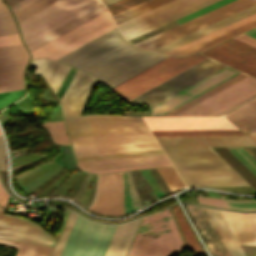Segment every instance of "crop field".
Listing matches in <instances>:
<instances>
[{
  "label": "crop field",
  "instance_id": "crop-field-39",
  "mask_svg": "<svg viewBox=\"0 0 256 256\" xmlns=\"http://www.w3.org/2000/svg\"><path fill=\"white\" fill-rule=\"evenodd\" d=\"M163 153L161 149L76 158L78 162Z\"/></svg>",
  "mask_w": 256,
  "mask_h": 256
},
{
  "label": "crop field",
  "instance_id": "crop-field-35",
  "mask_svg": "<svg viewBox=\"0 0 256 256\" xmlns=\"http://www.w3.org/2000/svg\"><path fill=\"white\" fill-rule=\"evenodd\" d=\"M215 1H218V0H206V1L202 2V3H200V4H197V5L193 6V7H190L188 9H186L184 11H181V12L175 14V15H172V16L166 18V19H163V20H161L159 22H156V23H154V24H152L150 26H147V27H145V28H143L141 30H138V31H136L134 33H131V34L125 36V37L128 40H130V39H132V38H134L136 36H139V35H141V34H143L145 32H148V31L154 29V28L162 26V25H164V24H166V23H168V22H170V21H172V20H174L176 18H179V17H181V16H183L185 14H188V13H190L192 11H195V10H197L199 8H202V7H204V6L208 5V4H211V3L215 2Z\"/></svg>",
  "mask_w": 256,
  "mask_h": 256
},
{
  "label": "crop field",
  "instance_id": "crop-field-56",
  "mask_svg": "<svg viewBox=\"0 0 256 256\" xmlns=\"http://www.w3.org/2000/svg\"><path fill=\"white\" fill-rule=\"evenodd\" d=\"M243 215L256 236V214L255 213H243Z\"/></svg>",
  "mask_w": 256,
  "mask_h": 256
},
{
  "label": "crop field",
  "instance_id": "crop-field-28",
  "mask_svg": "<svg viewBox=\"0 0 256 256\" xmlns=\"http://www.w3.org/2000/svg\"><path fill=\"white\" fill-rule=\"evenodd\" d=\"M31 64L38 65L36 73L43 75L55 93L69 69V66L49 59L34 60Z\"/></svg>",
  "mask_w": 256,
  "mask_h": 256
},
{
  "label": "crop field",
  "instance_id": "crop-field-9",
  "mask_svg": "<svg viewBox=\"0 0 256 256\" xmlns=\"http://www.w3.org/2000/svg\"><path fill=\"white\" fill-rule=\"evenodd\" d=\"M70 138L147 129L140 117L90 115L64 118Z\"/></svg>",
  "mask_w": 256,
  "mask_h": 256
},
{
  "label": "crop field",
  "instance_id": "crop-field-65",
  "mask_svg": "<svg viewBox=\"0 0 256 256\" xmlns=\"http://www.w3.org/2000/svg\"><path fill=\"white\" fill-rule=\"evenodd\" d=\"M7 3H8V5L10 6V5H12V4H14V3H16V2H18V1H20V0H5Z\"/></svg>",
  "mask_w": 256,
  "mask_h": 256
},
{
  "label": "crop field",
  "instance_id": "crop-field-46",
  "mask_svg": "<svg viewBox=\"0 0 256 256\" xmlns=\"http://www.w3.org/2000/svg\"><path fill=\"white\" fill-rule=\"evenodd\" d=\"M77 214L70 212L52 256H59Z\"/></svg>",
  "mask_w": 256,
  "mask_h": 256
},
{
  "label": "crop field",
  "instance_id": "crop-field-13",
  "mask_svg": "<svg viewBox=\"0 0 256 256\" xmlns=\"http://www.w3.org/2000/svg\"><path fill=\"white\" fill-rule=\"evenodd\" d=\"M142 118L150 130L238 129L223 116Z\"/></svg>",
  "mask_w": 256,
  "mask_h": 256
},
{
  "label": "crop field",
  "instance_id": "crop-field-64",
  "mask_svg": "<svg viewBox=\"0 0 256 256\" xmlns=\"http://www.w3.org/2000/svg\"><path fill=\"white\" fill-rule=\"evenodd\" d=\"M102 1L104 2V4H105L106 6H108V5H110V4L114 3V2H117V1H119V0H102Z\"/></svg>",
  "mask_w": 256,
  "mask_h": 256
},
{
  "label": "crop field",
  "instance_id": "crop-field-55",
  "mask_svg": "<svg viewBox=\"0 0 256 256\" xmlns=\"http://www.w3.org/2000/svg\"><path fill=\"white\" fill-rule=\"evenodd\" d=\"M199 201H200V203L207 204V205H214V206H218V207L228 208L222 199L199 198Z\"/></svg>",
  "mask_w": 256,
  "mask_h": 256
},
{
  "label": "crop field",
  "instance_id": "crop-field-5",
  "mask_svg": "<svg viewBox=\"0 0 256 256\" xmlns=\"http://www.w3.org/2000/svg\"><path fill=\"white\" fill-rule=\"evenodd\" d=\"M101 4L98 0H59L19 22L27 43Z\"/></svg>",
  "mask_w": 256,
  "mask_h": 256
},
{
  "label": "crop field",
  "instance_id": "crop-field-61",
  "mask_svg": "<svg viewBox=\"0 0 256 256\" xmlns=\"http://www.w3.org/2000/svg\"><path fill=\"white\" fill-rule=\"evenodd\" d=\"M255 96H256V94L252 95L251 97H249V98H247V99H245V100H243V101H241V102L235 104L234 106H232V107H230V108H228V109H226V110H224V111H222V112H220V113H218V114H223V113H225V112H227V111H229V110H231V109L237 107L238 105H240V104H242V103L248 101L249 99H251V98H253V97H255Z\"/></svg>",
  "mask_w": 256,
  "mask_h": 256
},
{
  "label": "crop field",
  "instance_id": "crop-field-34",
  "mask_svg": "<svg viewBox=\"0 0 256 256\" xmlns=\"http://www.w3.org/2000/svg\"><path fill=\"white\" fill-rule=\"evenodd\" d=\"M154 136L245 135L240 130L152 131Z\"/></svg>",
  "mask_w": 256,
  "mask_h": 256
},
{
  "label": "crop field",
  "instance_id": "crop-field-3",
  "mask_svg": "<svg viewBox=\"0 0 256 256\" xmlns=\"http://www.w3.org/2000/svg\"><path fill=\"white\" fill-rule=\"evenodd\" d=\"M170 213L167 209L145 216L127 256L176 255L183 248V242Z\"/></svg>",
  "mask_w": 256,
  "mask_h": 256
},
{
  "label": "crop field",
  "instance_id": "crop-field-54",
  "mask_svg": "<svg viewBox=\"0 0 256 256\" xmlns=\"http://www.w3.org/2000/svg\"><path fill=\"white\" fill-rule=\"evenodd\" d=\"M19 43H21V41L18 34L0 37V46L15 45Z\"/></svg>",
  "mask_w": 256,
  "mask_h": 256
},
{
  "label": "crop field",
  "instance_id": "crop-field-22",
  "mask_svg": "<svg viewBox=\"0 0 256 256\" xmlns=\"http://www.w3.org/2000/svg\"><path fill=\"white\" fill-rule=\"evenodd\" d=\"M186 209L192 222L196 225L197 229L205 239L209 253L230 256L203 207L187 205Z\"/></svg>",
  "mask_w": 256,
  "mask_h": 256
},
{
  "label": "crop field",
  "instance_id": "crop-field-10",
  "mask_svg": "<svg viewBox=\"0 0 256 256\" xmlns=\"http://www.w3.org/2000/svg\"><path fill=\"white\" fill-rule=\"evenodd\" d=\"M224 66L207 58L128 102L152 106Z\"/></svg>",
  "mask_w": 256,
  "mask_h": 256
},
{
  "label": "crop field",
  "instance_id": "crop-field-8",
  "mask_svg": "<svg viewBox=\"0 0 256 256\" xmlns=\"http://www.w3.org/2000/svg\"><path fill=\"white\" fill-rule=\"evenodd\" d=\"M205 58L207 57L200 54L184 57L172 56L115 87L112 92L127 101Z\"/></svg>",
  "mask_w": 256,
  "mask_h": 256
},
{
  "label": "crop field",
  "instance_id": "crop-field-4",
  "mask_svg": "<svg viewBox=\"0 0 256 256\" xmlns=\"http://www.w3.org/2000/svg\"><path fill=\"white\" fill-rule=\"evenodd\" d=\"M70 140L76 157L160 148L149 130Z\"/></svg>",
  "mask_w": 256,
  "mask_h": 256
},
{
  "label": "crop field",
  "instance_id": "crop-field-31",
  "mask_svg": "<svg viewBox=\"0 0 256 256\" xmlns=\"http://www.w3.org/2000/svg\"><path fill=\"white\" fill-rule=\"evenodd\" d=\"M167 57H169V55L158 54L106 83L111 89Z\"/></svg>",
  "mask_w": 256,
  "mask_h": 256
},
{
  "label": "crop field",
  "instance_id": "crop-field-14",
  "mask_svg": "<svg viewBox=\"0 0 256 256\" xmlns=\"http://www.w3.org/2000/svg\"><path fill=\"white\" fill-rule=\"evenodd\" d=\"M89 209L104 214L124 213L123 172L99 175L97 199Z\"/></svg>",
  "mask_w": 256,
  "mask_h": 256
},
{
  "label": "crop field",
  "instance_id": "crop-field-24",
  "mask_svg": "<svg viewBox=\"0 0 256 256\" xmlns=\"http://www.w3.org/2000/svg\"><path fill=\"white\" fill-rule=\"evenodd\" d=\"M210 49L256 69V48L234 38L220 43Z\"/></svg>",
  "mask_w": 256,
  "mask_h": 256
},
{
  "label": "crop field",
  "instance_id": "crop-field-42",
  "mask_svg": "<svg viewBox=\"0 0 256 256\" xmlns=\"http://www.w3.org/2000/svg\"><path fill=\"white\" fill-rule=\"evenodd\" d=\"M56 1L57 0H38L14 14L19 22Z\"/></svg>",
  "mask_w": 256,
  "mask_h": 256
},
{
  "label": "crop field",
  "instance_id": "crop-field-36",
  "mask_svg": "<svg viewBox=\"0 0 256 256\" xmlns=\"http://www.w3.org/2000/svg\"><path fill=\"white\" fill-rule=\"evenodd\" d=\"M169 1H172V0H150V1L145 2V3H143L139 6H136L132 9H129V10L123 12V13L118 14L117 17H118V19L121 23V22L126 21V20H128L132 17H135L139 14H142L146 11H149V10L155 8V7H158L162 4H165ZM117 17L114 16V19L117 22V24H119V21H118Z\"/></svg>",
  "mask_w": 256,
  "mask_h": 256
},
{
  "label": "crop field",
  "instance_id": "crop-field-66",
  "mask_svg": "<svg viewBox=\"0 0 256 256\" xmlns=\"http://www.w3.org/2000/svg\"><path fill=\"white\" fill-rule=\"evenodd\" d=\"M7 13H10V12H6V13H0V14H7Z\"/></svg>",
  "mask_w": 256,
  "mask_h": 256
},
{
  "label": "crop field",
  "instance_id": "crop-field-49",
  "mask_svg": "<svg viewBox=\"0 0 256 256\" xmlns=\"http://www.w3.org/2000/svg\"><path fill=\"white\" fill-rule=\"evenodd\" d=\"M147 0H121L108 6L112 16Z\"/></svg>",
  "mask_w": 256,
  "mask_h": 256
},
{
  "label": "crop field",
  "instance_id": "crop-field-48",
  "mask_svg": "<svg viewBox=\"0 0 256 256\" xmlns=\"http://www.w3.org/2000/svg\"><path fill=\"white\" fill-rule=\"evenodd\" d=\"M18 33L11 14L0 15V36Z\"/></svg>",
  "mask_w": 256,
  "mask_h": 256
},
{
  "label": "crop field",
  "instance_id": "crop-field-37",
  "mask_svg": "<svg viewBox=\"0 0 256 256\" xmlns=\"http://www.w3.org/2000/svg\"><path fill=\"white\" fill-rule=\"evenodd\" d=\"M41 128L47 130L53 141L58 144H70L68 136L66 134L64 122H47L44 123Z\"/></svg>",
  "mask_w": 256,
  "mask_h": 256
},
{
  "label": "crop field",
  "instance_id": "crop-field-25",
  "mask_svg": "<svg viewBox=\"0 0 256 256\" xmlns=\"http://www.w3.org/2000/svg\"><path fill=\"white\" fill-rule=\"evenodd\" d=\"M225 116L256 142V98Z\"/></svg>",
  "mask_w": 256,
  "mask_h": 256
},
{
  "label": "crop field",
  "instance_id": "crop-field-57",
  "mask_svg": "<svg viewBox=\"0 0 256 256\" xmlns=\"http://www.w3.org/2000/svg\"><path fill=\"white\" fill-rule=\"evenodd\" d=\"M6 167H7V164H6L5 151H4L2 137L0 135V169L5 170Z\"/></svg>",
  "mask_w": 256,
  "mask_h": 256
},
{
  "label": "crop field",
  "instance_id": "crop-field-23",
  "mask_svg": "<svg viewBox=\"0 0 256 256\" xmlns=\"http://www.w3.org/2000/svg\"><path fill=\"white\" fill-rule=\"evenodd\" d=\"M254 12H256V5L251 6V7L247 8V9H244V10H242V11H240L238 13H235V14H233L231 16H228V17H226V18H224L222 20H219V21H217L215 23H212V24H210V25H208L206 27H203V28H201L199 30H196V31H194V32H192L190 34H187V35L183 36V37H180V38H178V39H176L174 41H171V42H169L167 44H164V45H162V46H160L158 48L153 49L152 51H156V52H160V53H165V52H167V51H169V50H171V49H173V48H175L177 46H180V45H182V44H184L186 42H189V41H191L193 39H196V38H198V37H200L202 35H205V34L211 32V31L216 30V29H218L220 27H223V26H225L227 24H230V23H232V22H234L236 20H239V19H241V18H243L245 16H248V15L254 13Z\"/></svg>",
  "mask_w": 256,
  "mask_h": 256
},
{
  "label": "crop field",
  "instance_id": "crop-field-53",
  "mask_svg": "<svg viewBox=\"0 0 256 256\" xmlns=\"http://www.w3.org/2000/svg\"><path fill=\"white\" fill-rule=\"evenodd\" d=\"M24 89L0 93V107L22 95Z\"/></svg>",
  "mask_w": 256,
  "mask_h": 256
},
{
  "label": "crop field",
  "instance_id": "crop-field-44",
  "mask_svg": "<svg viewBox=\"0 0 256 256\" xmlns=\"http://www.w3.org/2000/svg\"><path fill=\"white\" fill-rule=\"evenodd\" d=\"M202 53L256 77V70L251 69L243 64H240L232 59H229L221 54H218L210 49L204 50V51H202Z\"/></svg>",
  "mask_w": 256,
  "mask_h": 256
},
{
  "label": "crop field",
  "instance_id": "crop-field-18",
  "mask_svg": "<svg viewBox=\"0 0 256 256\" xmlns=\"http://www.w3.org/2000/svg\"><path fill=\"white\" fill-rule=\"evenodd\" d=\"M166 156V155H165ZM164 154L78 163L88 172L103 173L170 165Z\"/></svg>",
  "mask_w": 256,
  "mask_h": 256
},
{
  "label": "crop field",
  "instance_id": "crop-field-2",
  "mask_svg": "<svg viewBox=\"0 0 256 256\" xmlns=\"http://www.w3.org/2000/svg\"><path fill=\"white\" fill-rule=\"evenodd\" d=\"M176 169H231L209 146L255 145L247 136L156 137Z\"/></svg>",
  "mask_w": 256,
  "mask_h": 256
},
{
  "label": "crop field",
  "instance_id": "crop-field-51",
  "mask_svg": "<svg viewBox=\"0 0 256 256\" xmlns=\"http://www.w3.org/2000/svg\"><path fill=\"white\" fill-rule=\"evenodd\" d=\"M229 208H236L240 210H256V200L237 201L223 199Z\"/></svg>",
  "mask_w": 256,
  "mask_h": 256
},
{
  "label": "crop field",
  "instance_id": "crop-field-47",
  "mask_svg": "<svg viewBox=\"0 0 256 256\" xmlns=\"http://www.w3.org/2000/svg\"><path fill=\"white\" fill-rule=\"evenodd\" d=\"M253 4H256V1H254V2H252V3H249V4H247V5L243 6V7H240V8H238V9H236V10H233V11L227 13V14H224V15H222V16H220V17H217V18H215V19H213V20H211V21H208V22H206V23H204V24H201V25H199V26H197V27H194V28H192V29H190V30H188V31H185V32H183V33H181V34H178V35H176V36H174V37H172V38H169V39H167V40H165V41H162V42H160V43H158V44H156V45H153V46H151V47H149V48H146V49L151 50V49H153V48H155V47H157V46H160V45H162V44H164V43H167V42H169V41H171V40H173V39H176V38H178V37H180V36H183V35H185V34H187V33H189V32H192V31H194V30H196V29H199V28H201V27H203V26H205V25H208V24H210V23H212V22H215V21H217V20H219V19H221V18H224V17H226V16H228V15H231V14L237 12V11H240V10H242V9H244V8H247V7H249V6L253 5Z\"/></svg>",
  "mask_w": 256,
  "mask_h": 256
},
{
  "label": "crop field",
  "instance_id": "crop-field-45",
  "mask_svg": "<svg viewBox=\"0 0 256 256\" xmlns=\"http://www.w3.org/2000/svg\"><path fill=\"white\" fill-rule=\"evenodd\" d=\"M227 148L256 175V161L242 147Z\"/></svg>",
  "mask_w": 256,
  "mask_h": 256
},
{
  "label": "crop field",
  "instance_id": "crop-field-59",
  "mask_svg": "<svg viewBox=\"0 0 256 256\" xmlns=\"http://www.w3.org/2000/svg\"><path fill=\"white\" fill-rule=\"evenodd\" d=\"M234 38H236V39H238V40H240L242 42H245V43H247V44H249L251 46L256 47V39L251 38V37H249V36H247L245 34L239 35V36L234 37Z\"/></svg>",
  "mask_w": 256,
  "mask_h": 256
},
{
  "label": "crop field",
  "instance_id": "crop-field-6",
  "mask_svg": "<svg viewBox=\"0 0 256 256\" xmlns=\"http://www.w3.org/2000/svg\"><path fill=\"white\" fill-rule=\"evenodd\" d=\"M116 226L78 215L60 256H104Z\"/></svg>",
  "mask_w": 256,
  "mask_h": 256
},
{
  "label": "crop field",
  "instance_id": "crop-field-43",
  "mask_svg": "<svg viewBox=\"0 0 256 256\" xmlns=\"http://www.w3.org/2000/svg\"><path fill=\"white\" fill-rule=\"evenodd\" d=\"M24 88L23 74L0 77V92Z\"/></svg>",
  "mask_w": 256,
  "mask_h": 256
},
{
  "label": "crop field",
  "instance_id": "crop-field-40",
  "mask_svg": "<svg viewBox=\"0 0 256 256\" xmlns=\"http://www.w3.org/2000/svg\"><path fill=\"white\" fill-rule=\"evenodd\" d=\"M245 75H246V74L241 73V74H239V75H237V76L231 78L230 80H228V81H226V82L220 84L219 86H217V87H215V88L209 90L208 92H206V93H204V94H202V95L196 97L195 99H193V100H191V101L185 103L184 105H182V106H180V107L174 109L173 111H171V112H169V113H167V114H165V115H174V114H176V113L182 111L183 109H185V108L191 106L192 104H194V103L200 101L201 99H203V98L209 96L210 94H212V93H214V92L220 90L221 88H223V87L229 85L230 83H232V82L238 80L239 78H241V77H243V76H245Z\"/></svg>",
  "mask_w": 256,
  "mask_h": 256
},
{
  "label": "crop field",
  "instance_id": "crop-field-58",
  "mask_svg": "<svg viewBox=\"0 0 256 256\" xmlns=\"http://www.w3.org/2000/svg\"><path fill=\"white\" fill-rule=\"evenodd\" d=\"M34 1H36V0H21L20 2L14 4V5L10 6V7H11L13 12H16V11L22 9L23 7L31 4Z\"/></svg>",
  "mask_w": 256,
  "mask_h": 256
},
{
  "label": "crop field",
  "instance_id": "crop-field-20",
  "mask_svg": "<svg viewBox=\"0 0 256 256\" xmlns=\"http://www.w3.org/2000/svg\"><path fill=\"white\" fill-rule=\"evenodd\" d=\"M202 1L204 0H174L129 21L119 24L118 26L123 36H125L155 21L161 20Z\"/></svg>",
  "mask_w": 256,
  "mask_h": 256
},
{
  "label": "crop field",
  "instance_id": "crop-field-52",
  "mask_svg": "<svg viewBox=\"0 0 256 256\" xmlns=\"http://www.w3.org/2000/svg\"><path fill=\"white\" fill-rule=\"evenodd\" d=\"M229 1H232V0H220V1L215 2V3H213V4L209 5V6L204 7L202 9H199V10L193 12V13H190V14H188L186 16H183V17L177 19V21L180 24V23H182V22H184L186 20H189V19H191V18H193L195 16H198V15L204 13V12H207V11H209L211 9H214V8H216V7L220 6V5H223V4H225V3L229 2Z\"/></svg>",
  "mask_w": 256,
  "mask_h": 256
},
{
  "label": "crop field",
  "instance_id": "crop-field-33",
  "mask_svg": "<svg viewBox=\"0 0 256 256\" xmlns=\"http://www.w3.org/2000/svg\"><path fill=\"white\" fill-rule=\"evenodd\" d=\"M0 244L19 248L21 243L0 239ZM52 248L23 243L17 256H50Z\"/></svg>",
  "mask_w": 256,
  "mask_h": 256
},
{
  "label": "crop field",
  "instance_id": "crop-field-29",
  "mask_svg": "<svg viewBox=\"0 0 256 256\" xmlns=\"http://www.w3.org/2000/svg\"><path fill=\"white\" fill-rule=\"evenodd\" d=\"M238 243L255 244L256 238L242 213L221 210Z\"/></svg>",
  "mask_w": 256,
  "mask_h": 256
},
{
  "label": "crop field",
  "instance_id": "crop-field-50",
  "mask_svg": "<svg viewBox=\"0 0 256 256\" xmlns=\"http://www.w3.org/2000/svg\"><path fill=\"white\" fill-rule=\"evenodd\" d=\"M127 223L128 222L123 223V224L117 226V228L115 230V233H114V235L112 237V240H111V242H110V244L108 246V249H107V251L105 253V256H113L114 251H115V249H116V247H117V245L119 243V240H120V238H121V236L123 234V231H124Z\"/></svg>",
  "mask_w": 256,
  "mask_h": 256
},
{
  "label": "crop field",
  "instance_id": "crop-field-12",
  "mask_svg": "<svg viewBox=\"0 0 256 256\" xmlns=\"http://www.w3.org/2000/svg\"><path fill=\"white\" fill-rule=\"evenodd\" d=\"M239 73L240 72L226 66L150 107V112L152 115H163Z\"/></svg>",
  "mask_w": 256,
  "mask_h": 256
},
{
  "label": "crop field",
  "instance_id": "crop-field-16",
  "mask_svg": "<svg viewBox=\"0 0 256 256\" xmlns=\"http://www.w3.org/2000/svg\"><path fill=\"white\" fill-rule=\"evenodd\" d=\"M0 237L54 246L56 240L34 223L3 214L0 206Z\"/></svg>",
  "mask_w": 256,
  "mask_h": 256
},
{
  "label": "crop field",
  "instance_id": "crop-field-7",
  "mask_svg": "<svg viewBox=\"0 0 256 256\" xmlns=\"http://www.w3.org/2000/svg\"><path fill=\"white\" fill-rule=\"evenodd\" d=\"M116 27L108 10L69 32L31 51L33 59H57L106 31Z\"/></svg>",
  "mask_w": 256,
  "mask_h": 256
},
{
  "label": "crop field",
  "instance_id": "crop-field-38",
  "mask_svg": "<svg viewBox=\"0 0 256 256\" xmlns=\"http://www.w3.org/2000/svg\"><path fill=\"white\" fill-rule=\"evenodd\" d=\"M140 220L138 218L128 223L114 256H125Z\"/></svg>",
  "mask_w": 256,
  "mask_h": 256
},
{
  "label": "crop field",
  "instance_id": "crop-field-15",
  "mask_svg": "<svg viewBox=\"0 0 256 256\" xmlns=\"http://www.w3.org/2000/svg\"><path fill=\"white\" fill-rule=\"evenodd\" d=\"M100 79L77 70L61 99L64 117L80 115Z\"/></svg>",
  "mask_w": 256,
  "mask_h": 256
},
{
  "label": "crop field",
  "instance_id": "crop-field-27",
  "mask_svg": "<svg viewBox=\"0 0 256 256\" xmlns=\"http://www.w3.org/2000/svg\"><path fill=\"white\" fill-rule=\"evenodd\" d=\"M204 209L208 214L209 218L211 219L224 244L226 245L231 256H245L234 235L232 234L230 228L228 227L225 219L223 218L220 210L205 207Z\"/></svg>",
  "mask_w": 256,
  "mask_h": 256
},
{
  "label": "crop field",
  "instance_id": "crop-field-41",
  "mask_svg": "<svg viewBox=\"0 0 256 256\" xmlns=\"http://www.w3.org/2000/svg\"><path fill=\"white\" fill-rule=\"evenodd\" d=\"M158 171L164 178L165 182L167 183L171 191L180 189L185 186L180 177L178 176V174L176 173V171L174 170V168H160L158 169Z\"/></svg>",
  "mask_w": 256,
  "mask_h": 256
},
{
  "label": "crop field",
  "instance_id": "crop-field-17",
  "mask_svg": "<svg viewBox=\"0 0 256 256\" xmlns=\"http://www.w3.org/2000/svg\"><path fill=\"white\" fill-rule=\"evenodd\" d=\"M255 26L256 13L246 18H243L237 22H234L228 26H225L219 30H216L210 34H207L201 38H198L192 42H189L183 46H180L174 50H171L167 53L174 55H187L190 53L198 52L216 43L233 37L239 33L249 30Z\"/></svg>",
  "mask_w": 256,
  "mask_h": 256
},
{
  "label": "crop field",
  "instance_id": "crop-field-32",
  "mask_svg": "<svg viewBox=\"0 0 256 256\" xmlns=\"http://www.w3.org/2000/svg\"><path fill=\"white\" fill-rule=\"evenodd\" d=\"M173 212H174L176 221L179 225V228L182 232V235H183L187 245L194 250L204 253L202 247L199 245L194 233L192 232L191 228L189 227L179 206H175L173 208Z\"/></svg>",
  "mask_w": 256,
  "mask_h": 256
},
{
  "label": "crop field",
  "instance_id": "crop-field-19",
  "mask_svg": "<svg viewBox=\"0 0 256 256\" xmlns=\"http://www.w3.org/2000/svg\"><path fill=\"white\" fill-rule=\"evenodd\" d=\"M187 187L248 185L233 170H178Z\"/></svg>",
  "mask_w": 256,
  "mask_h": 256
},
{
  "label": "crop field",
  "instance_id": "crop-field-62",
  "mask_svg": "<svg viewBox=\"0 0 256 256\" xmlns=\"http://www.w3.org/2000/svg\"><path fill=\"white\" fill-rule=\"evenodd\" d=\"M9 11L6 5L0 0V12H6Z\"/></svg>",
  "mask_w": 256,
  "mask_h": 256
},
{
  "label": "crop field",
  "instance_id": "crop-field-21",
  "mask_svg": "<svg viewBox=\"0 0 256 256\" xmlns=\"http://www.w3.org/2000/svg\"><path fill=\"white\" fill-rule=\"evenodd\" d=\"M252 1H254V0H234V1L230 2V3H228V4H225V5H223V6L219 7V8H216V9L210 11V12H207V13L201 15V16H198V17H196V18H194V19H192L190 21H187V22L181 24V25H177V26H175L173 28H170V29H168V30H166L164 32H161V33H159V34H157L155 36H152V37H150L148 39H145V40H143V41H141L139 43L144 45V46H146V47H148V46L153 45V44H155V43H157L159 41H162V40H164L166 38H169V37H171L173 35H176V34H178L180 32H183V31H185V30H187L189 28H192V27H194L196 25H199V24H201L203 22H206V21H208L210 19H213V18H215V17H217L219 15H222V14H224L226 12H229V11H231L233 9H236V8H238L240 6H243V5H245V4L249 3V2H252ZM140 44L137 43L136 45L139 46V47L146 48V47H144V46H142Z\"/></svg>",
  "mask_w": 256,
  "mask_h": 256
},
{
  "label": "crop field",
  "instance_id": "crop-field-30",
  "mask_svg": "<svg viewBox=\"0 0 256 256\" xmlns=\"http://www.w3.org/2000/svg\"><path fill=\"white\" fill-rule=\"evenodd\" d=\"M107 10L102 4L91 9L90 11L80 15L79 17L69 21L68 23L60 26L59 28L49 32L48 34L38 38L37 40L27 44L29 50H33L39 46H41L42 44L52 40L53 38L63 34L64 32L74 28L75 26L85 22L86 20L96 16L97 14L103 12Z\"/></svg>",
  "mask_w": 256,
  "mask_h": 256
},
{
  "label": "crop field",
  "instance_id": "crop-field-60",
  "mask_svg": "<svg viewBox=\"0 0 256 256\" xmlns=\"http://www.w3.org/2000/svg\"><path fill=\"white\" fill-rule=\"evenodd\" d=\"M9 195L5 192L2 185L0 184V204L6 208Z\"/></svg>",
  "mask_w": 256,
  "mask_h": 256
},
{
  "label": "crop field",
  "instance_id": "crop-field-1",
  "mask_svg": "<svg viewBox=\"0 0 256 256\" xmlns=\"http://www.w3.org/2000/svg\"><path fill=\"white\" fill-rule=\"evenodd\" d=\"M154 55L128 43L116 27L56 61L86 70L106 82Z\"/></svg>",
  "mask_w": 256,
  "mask_h": 256
},
{
  "label": "crop field",
  "instance_id": "crop-field-11",
  "mask_svg": "<svg viewBox=\"0 0 256 256\" xmlns=\"http://www.w3.org/2000/svg\"><path fill=\"white\" fill-rule=\"evenodd\" d=\"M256 93V79L247 75L176 115H214Z\"/></svg>",
  "mask_w": 256,
  "mask_h": 256
},
{
  "label": "crop field",
  "instance_id": "crop-field-63",
  "mask_svg": "<svg viewBox=\"0 0 256 256\" xmlns=\"http://www.w3.org/2000/svg\"><path fill=\"white\" fill-rule=\"evenodd\" d=\"M245 34H247V35H249V36H251V37L256 38V28H254V29H252V30L246 32Z\"/></svg>",
  "mask_w": 256,
  "mask_h": 256
},
{
  "label": "crop field",
  "instance_id": "crop-field-26",
  "mask_svg": "<svg viewBox=\"0 0 256 256\" xmlns=\"http://www.w3.org/2000/svg\"><path fill=\"white\" fill-rule=\"evenodd\" d=\"M22 46V44H21ZM23 48V46H22ZM20 47V45L1 47L0 48V76L17 74L20 73V69L25 60V54ZM27 56V54H26ZM28 58V56H27ZM27 60V59H26ZM26 63V61H25ZM24 63V65H25ZM21 69V73H23V68Z\"/></svg>",
  "mask_w": 256,
  "mask_h": 256
}]
</instances>
